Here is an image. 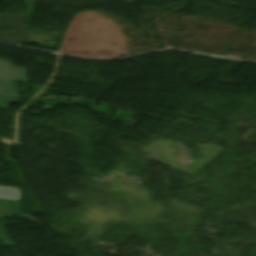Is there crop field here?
<instances>
[{"label": "crop field", "mask_w": 256, "mask_h": 256, "mask_svg": "<svg viewBox=\"0 0 256 256\" xmlns=\"http://www.w3.org/2000/svg\"><path fill=\"white\" fill-rule=\"evenodd\" d=\"M15 80L27 81V69L0 60V94L18 95Z\"/></svg>", "instance_id": "crop-field-1"}, {"label": "crop field", "mask_w": 256, "mask_h": 256, "mask_svg": "<svg viewBox=\"0 0 256 256\" xmlns=\"http://www.w3.org/2000/svg\"><path fill=\"white\" fill-rule=\"evenodd\" d=\"M18 102V96H0V109H7V105Z\"/></svg>", "instance_id": "crop-field-2"}]
</instances>
